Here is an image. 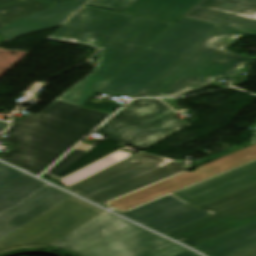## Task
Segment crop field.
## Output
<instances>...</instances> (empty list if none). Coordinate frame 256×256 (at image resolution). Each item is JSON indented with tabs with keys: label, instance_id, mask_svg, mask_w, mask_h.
<instances>
[{
	"label": "crop field",
	"instance_id": "1",
	"mask_svg": "<svg viewBox=\"0 0 256 256\" xmlns=\"http://www.w3.org/2000/svg\"><path fill=\"white\" fill-rule=\"evenodd\" d=\"M171 24L85 6L49 36L100 49L94 72L41 111L14 120L0 139L17 145L0 159L43 173L111 114L81 107Z\"/></svg>",
	"mask_w": 256,
	"mask_h": 256
},
{
	"label": "crop field",
	"instance_id": "2",
	"mask_svg": "<svg viewBox=\"0 0 256 256\" xmlns=\"http://www.w3.org/2000/svg\"><path fill=\"white\" fill-rule=\"evenodd\" d=\"M23 174L0 192V254L49 246L81 256H173L186 251Z\"/></svg>",
	"mask_w": 256,
	"mask_h": 256
},
{
	"label": "crop field",
	"instance_id": "3",
	"mask_svg": "<svg viewBox=\"0 0 256 256\" xmlns=\"http://www.w3.org/2000/svg\"><path fill=\"white\" fill-rule=\"evenodd\" d=\"M184 17L220 25L134 98L175 97L233 77L253 58L227 52L237 37L256 36V0H201Z\"/></svg>",
	"mask_w": 256,
	"mask_h": 256
},
{
	"label": "crop field",
	"instance_id": "4",
	"mask_svg": "<svg viewBox=\"0 0 256 256\" xmlns=\"http://www.w3.org/2000/svg\"><path fill=\"white\" fill-rule=\"evenodd\" d=\"M165 160L141 151L67 189L102 204L186 170Z\"/></svg>",
	"mask_w": 256,
	"mask_h": 256
},
{
	"label": "crop field",
	"instance_id": "5",
	"mask_svg": "<svg viewBox=\"0 0 256 256\" xmlns=\"http://www.w3.org/2000/svg\"><path fill=\"white\" fill-rule=\"evenodd\" d=\"M157 99L131 101L95 132L143 150L173 132L190 126Z\"/></svg>",
	"mask_w": 256,
	"mask_h": 256
},
{
	"label": "crop field",
	"instance_id": "6",
	"mask_svg": "<svg viewBox=\"0 0 256 256\" xmlns=\"http://www.w3.org/2000/svg\"><path fill=\"white\" fill-rule=\"evenodd\" d=\"M197 209L211 216L166 235L195 247L256 221V183Z\"/></svg>",
	"mask_w": 256,
	"mask_h": 256
},
{
	"label": "crop field",
	"instance_id": "7",
	"mask_svg": "<svg viewBox=\"0 0 256 256\" xmlns=\"http://www.w3.org/2000/svg\"><path fill=\"white\" fill-rule=\"evenodd\" d=\"M255 159L256 144L221 159L199 166L197 167V171L186 172L179 176L134 192L110 203L109 205L119 210H128Z\"/></svg>",
	"mask_w": 256,
	"mask_h": 256
},
{
	"label": "crop field",
	"instance_id": "8",
	"mask_svg": "<svg viewBox=\"0 0 256 256\" xmlns=\"http://www.w3.org/2000/svg\"><path fill=\"white\" fill-rule=\"evenodd\" d=\"M122 215L163 234L209 216L171 195Z\"/></svg>",
	"mask_w": 256,
	"mask_h": 256
},
{
	"label": "crop field",
	"instance_id": "9",
	"mask_svg": "<svg viewBox=\"0 0 256 256\" xmlns=\"http://www.w3.org/2000/svg\"><path fill=\"white\" fill-rule=\"evenodd\" d=\"M180 58V56L146 49L100 92L120 93L134 97ZM142 61L146 62L142 63Z\"/></svg>",
	"mask_w": 256,
	"mask_h": 256
},
{
	"label": "crop field",
	"instance_id": "10",
	"mask_svg": "<svg viewBox=\"0 0 256 256\" xmlns=\"http://www.w3.org/2000/svg\"><path fill=\"white\" fill-rule=\"evenodd\" d=\"M255 182L256 162H253L172 195L198 207Z\"/></svg>",
	"mask_w": 256,
	"mask_h": 256
},
{
	"label": "crop field",
	"instance_id": "11",
	"mask_svg": "<svg viewBox=\"0 0 256 256\" xmlns=\"http://www.w3.org/2000/svg\"><path fill=\"white\" fill-rule=\"evenodd\" d=\"M217 27L182 18L149 48L184 55Z\"/></svg>",
	"mask_w": 256,
	"mask_h": 256
},
{
	"label": "crop field",
	"instance_id": "12",
	"mask_svg": "<svg viewBox=\"0 0 256 256\" xmlns=\"http://www.w3.org/2000/svg\"><path fill=\"white\" fill-rule=\"evenodd\" d=\"M82 5L66 0L21 21L0 29V35L5 39L11 38L59 25L76 12Z\"/></svg>",
	"mask_w": 256,
	"mask_h": 256
},
{
	"label": "crop field",
	"instance_id": "13",
	"mask_svg": "<svg viewBox=\"0 0 256 256\" xmlns=\"http://www.w3.org/2000/svg\"><path fill=\"white\" fill-rule=\"evenodd\" d=\"M256 243V222L219 236L195 247L210 256H256V245L229 255L228 253Z\"/></svg>",
	"mask_w": 256,
	"mask_h": 256
},
{
	"label": "crop field",
	"instance_id": "14",
	"mask_svg": "<svg viewBox=\"0 0 256 256\" xmlns=\"http://www.w3.org/2000/svg\"><path fill=\"white\" fill-rule=\"evenodd\" d=\"M200 0H138L125 13L173 23Z\"/></svg>",
	"mask_w": 256,
	"mask_h": 256
},
{
	"label": "crop field",
	"instance_id": "15",
	"mask_svg": "<svg viewBox=\"0 0 256 256\" xmlns=\"http://www.w3.org/2000/svg\"><path fill=\"white\" fill-rule=\"evenodd\" d=\"M50 6L37 0H24L4 5L0 7V20L8 25Z\"/></svg>",
	"mask_w": 256,
	"mask_h": 256
},
{
	"label": "crop field",
	"instance_id": "16",
	"mask_svg": "<svg viewBox=\"0 0 256 256\" xmlns=\"http://www.w3.org/2000/svg\"><path fill=\"white\" fill-rule=\"evenodd\" d=\"M130 154L127 153V152H123V151H119V152H116L96 163H94L93 165L61 180V182L66 185L67 187L73 185V184H76L96 173H98L99 171L129 157Z\"/></svg>",
	"mask_w": 256,
	"mask_h": 256
},
{
	"label": "crop field",
	"instance_id": "17",
	"mask_svg": "<svg viewBox=\"0 0 256 256\" xmlns=\"http://www.w3.org/2000/svg\"><path fill=\"white\" fill-rule=\"evenodd\" d=\"M87 153L74 149L47 172L57 177Z\"/></svg>",
	"mask_w": 256,
	"mask_h": 256
},
{
	"label": "crop field",
	"instance_id": "18",
	"mask_svg": "<svg viewBox=\"0 0 256 256\" xmlns=\"http://www.w3.org/2000/svg\"><path fill=\"white\" fill-rule=\"evenodd\" d=\"M136 0H92L89 5L122 12Z\"/></svg>",
	"mask_w": 256,
	"mask_h": 256
},
{
	"label": "crop field",
	"instance_id": "19",
	"mask_svg": "<svg viewBox=\"0 0 256 256\" xmlns=\"http://www.w3.org/2000/svg\"><path fill=\"white\" fill-rule=\"evenodd\" d=\"M22 173L0 164V191L17 179Z\"/></svg>",
	"mask_w": 256,
	"mask_h": 256
},
{
	"label": "crop field",
	"instance_id": "20",
	"mask_svg": "<svg viewBox=\"0 0 256 256\" xmlns=\"http://www.w3.org/2000/svg\"><path fill=\"white\" fill-rule=\"evenodd\" d=\"M176 256H198V255H196V254H194V253H192L190 251H186V252L180 253V254H178Z\"/></svg>",
	"mask_w": 256,
	"mask_h": 256
},
{
	"label": "crop field",
	"instance_id": "21",
	"mask_svg": "<svg viewBox=\"0 0 256 256\" xmlns=\"http://www.w3.org/2000/svg\"><path fill=\"white\" fill-rule=\"evenodd\" d=\"M7 125H8V123L0 121V133L5 130Z\"/></svg>",
	"mask_w": 256,
	"mask_h": 256
},
{
	"label": "crop field",
	"instance_id": "22",
	"mask_svg": "<svg viewBox=\"0 0 256 256\" xmlns=\"http://www.w3.org/2000/svg\"><path fill=\"white\" fill-rule=\"evenodd\" d=\"M15 1H19V0H0V5L12 3V2H15Z\"/></svg>",
	"mask_w": 256,
	"mask_h": 256
},
{
	"label": "crop field",
	"instance_id": "23",
	"mask_svg": "<svg viewBox=\"0 0 256 256\" xmlns=\"http://www.w3.org/2000/svg\"><path fill=\"white\" fill-rule=\"evenodd\" d=\"M43 1L55 4V3H58V2L63 1V0H43Z\"/></svg>",
	"mask_w": 256,
	"mask_h": 256
},
{
	"label": "crop field",
	"instance_id": "24",
	"mask_svg": "<svg viewBox=\"0 0 256 256\" xmlns=\"http://www.w3.org/2000/svg\"><path fill=\"white\" fill-rule=\"evenodd\" d=\"M73 1L80 2V3L85 4V3H86L87 1H89V0H73Z\"/></svg>",
	"mask_w": 256,
	"mask_h": 256
},
{
	"label": "crop field",
	"instance_id": "25",
	"mask_svg": "<svg viewBox=\"0 0 256 256\" xmlns=\"http://www.w3.org/2000/svg\"><path fill=\"white\" fill-rule=\"evenodd\" d=\"M256 143V133H254V136H253V144Z\"/></svg>",
	"mask_w": 256,
	"mask_h": 256
},
{
	"label": "crop field",
	"instance_id": "26",
	"mask_svg": "<svg viewBox=\"0 0 256 256\" xmlns=\"http://www.w3.org/2000/svg\"><path fill=\"white\" fill-rule=\"evenodd\" d=\"M173 160H169V159H167L165 162H164V164H167V163H169V162H172ZM163 164V165H164Z\"/></svg>",
	"mask_w": 256,
	"mask_h": 256
},
{
	"label": "crop field",
	"instance_id": "27",
	"mask_svg": "<svg viewBox=\"0 0 256 256\" xmlns=\"http://www.w3.org/2000/svg\"><path fill=\"white\" fill-rule=\"evenodd\" d=\"M6 25H4L2 22H0V28L5 27Z\"/></svg>",
	"mask_w": 256,
	"mask_h": 256
}]
</instances>
